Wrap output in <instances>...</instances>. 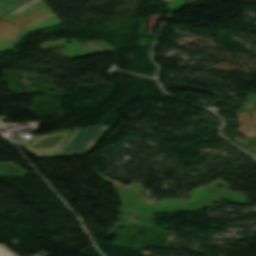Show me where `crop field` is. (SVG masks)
<instances>
[{
    "label": "crop field",
    "instance_id": "1",
    "mask_svg": "<svg viewBox=\"0 0 256 256\" xmlns=\"http://www.w3.org/2000/svg\"><path fill=\"white\" fill-rule=\"evenodd\" d=\"M30 0H0V17L3 15L9 13L10 11L18 8L19 6L25 4ZM41 2L40 4L32 7L31 9L27 10L26 12L22 13L21 15L11 19L12 17L18 15L19 13L23 12L24 10L30 8L31 6ZM44 6L43 8L29 14L28 16L14 22L15 20L19 19L20 17L24 16L25 14L39 8L40 6ZM47 8L46 10L28 18L29 16ZM50 10L49 12L43 14L42 16L38 17L37 19L31 21L30 23L24 25L31 19L39 16L40 14ZM28 18V19H26ZM26 19V20H24ZM2 20L8 21L10 23L19 25L25 29L16 27L14 25L8 24ZM0 20V51H5L11 49L13 46H15L25 35L29 33L28 30L33 31L57 24H61L62 22L60 19L52 12V10L43 2V0H33L30 3L22 6L21 8L15 10L14 12L4 16ZM24 20V21H22ZM22 21V22H20Z\"/></svg>",
    "mask_w": 256,
    "mask_h": 256
},
{
    "label": "crop field",
    "instance_id": "2",
    "mask_svg": "<svg viewBox=\"0 0 256 256\" xmlns=\"http://www.w3.org/2000/svg\"><path fill=\"white\" fill-rule=\"evenodd\" d=\"M111 125L59 131L53 135L40 136L26 148L35 155L63 153L64 156L88 154Z\"/></svg>",
    "mask_w": 256,
    "mask_h": 256
},
{
    "label": "crop field",
    "instance_id": "3",
    "mask_svg": "<svg viewBox=\"0 0 256 256\" xmlns=\"http://www.w3.org/2000/svg\"><path fill=\"white\" fill-rule=\"evenodd\" d=\"M29 173L13 162H0V177H24Z\"/></svg>",
    "mask_w": 256,
    "mask_h": 256
},
{
    "label": "crop field",
    "instance_id": "4",
    "mask_svg": "<svg viewBox=\"0 0 256 256\" xmlns=\"http://www.w3.org/2000/svg\"><path fill=\"white\" fill-rule=\"evenodd\" d=\"M0 256H14V255H12L4 247L0 246Z\"/></svg>",
    "mask_w": 256,
    "mask_h": 256
}]
</instances>
